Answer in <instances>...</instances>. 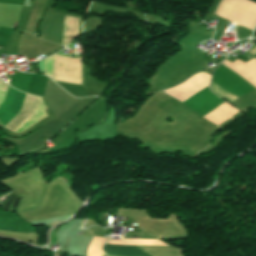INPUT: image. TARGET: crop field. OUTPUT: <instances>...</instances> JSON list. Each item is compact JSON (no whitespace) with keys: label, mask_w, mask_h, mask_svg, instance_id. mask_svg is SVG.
Here are the masks:
<instances>
[{"label":"crop field","mask_w":256,"mask_h":256,"mask_svg":"<svg viewBox=\"0 0 256 256\" xmlns=\"http://www.w3.org/2000/svg\"><path fill=\"white\" fill-rule=\"evenodd\" d=\"M103 250L112 255L148 256L135 246L105 245Z\"/></svg>","instance_id":"1"},{"label":"crop field","mask_w":256,"mask_h":256,"mask_svg":"<svg viewBox=\"0 0 256 256\" xmlns=\"http://www.w3.org/2000/svg\"><path fill=\"white\" fill-rule=\"evenodd\" d=\"M254 35H256V31H255ZM254 35H253L252 37H256V36H254Z\"/></svg>","instance_id":"2"},{"label":"crop field","mask_w":256,"mask_h":256,"mask_svg":"<svg viewBox=\"0 0 256 256\" xmlns=\"http://www.w3.org/2000/svg\"><path fill=\"white\" fill-rule=\"evenodd\" d=\"M252 42L256 43V40H252Z\"/></svg>","instance_id":"3"},{"label":"crop field","mask_w":256,"mask_h":256,"mask_svg":"<svg viewBox=\"0 0 256 256\" xmlns=\"http://www.w3.org/2000/svg\"><path fill=\"white\" fill-rule=\"evenodd\" d=\"M251 1H253V2H255V3H256V0H251Z\"/></svg>","instance_id":"4"}]
</instances>
